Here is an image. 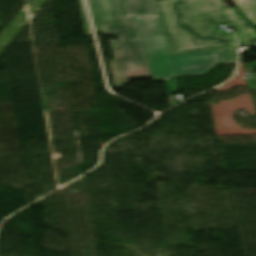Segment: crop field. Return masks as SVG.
I'll return each mask as SVG.
<instances>
[{"label": "crop field", "instance_id": "1", "mask_svg": "<svg viewBox=\"0 0 256 256\" xmlns=\"http://www.w3.org/2000/svg\"><path fill=\"white\" fill-rule=\"evenodd\" d=\"M171 54L238 47L234 35L216 32L214 23L232 21L240 46L251 45L256 28L236 8L158 12Z\"/></svg>", "mask_w": 256, "mask_h": 256}, {"label": "crop field", "instance_id": "2", "mask_svg": "<svg viewBox=\"0 0 256 256\" xmlns=\"http://www.w3.org/2000/svg\"><path fill=\"white\" fill-rule=\"evenodd\" d=\"M154 81L205 74L219 62H237L238 48L170 55L158 15L134 16Z\"/></svg>", "mask_w": 256, "mask_h": 256}, {"label": "crop field", "instance_id": "3", "mask_svg": "<svg viewBox=\"0 0 256 256\" xmlns=\"http://www.w3.org/2000/svg\"><path fill=\"white\" fill-rule=\"evenodd\" d=\"M125 19L127 23L103 26L105 35L120 39L110 43L115 55V59L110 60L115 89H123L130 79L152 78L134 18Z\"/></svg>", "mask_w": 256, "mask_h": 256}, {"label": "crop field", "instance_id": "4", "mask_svg": "<svg viewBox=\"0 0 256 256\" xmlns=\"http://www.w3.org/2000/svg\"><path fill=\"white\" fill-rule=\"evenodd\" d=\"M92 13L95 31H103L102 25L126 22L119 0H87Z\"/></svg>", "mask_w": 256, "mask_h": 256}, {"label": "crop field", "instance_id": "5", "mask_svg": "<svg viewBox=\"0 0 256 256\" xmlns=\"http://www.w3.org/2000/svg\"><path fill=\"white\" fill-rule=\"evenodd\" d=\"M158 11L225 7L223 0H154Z\"/></svg>", "mask_w": 256, "mask_h": 256}, {"label": "crop field", "instance_id": "6", "mask_svg": "<svg viewBox=\"0 0 256 256\" xmlns=\"http://www.w3.org/2000/svg\"><path fill=\"white\" fill-rule=\"evenodd\" d=\"M125 16L158 14L153 0H121Z\"/></svg>", "mask_w": 256, "mask_h": 256}, {"label": "crop field", "instance_id": "7", "mask_svg": "<svg viewBox=\"0 0 256 256\" xmlns=\"http://www.w3.org/2000/svg\"><path fill=\"white\" fill-rule=\"evenodd\" d=\"M240 9L241 13L254 25H256V18L252 10L249 0H233Z\"/></svg>", "mask_w": 256, "mask_h": 256}, {"label": "crop field", "instance_id": "8", "mask_svg": "<svg viewBox=\"0 0 256 256\" xmlns=\"http://www.w3.org/2000/svg\"><path fill=\"white\" fill-rule=\"evenodd\" d=\"M79 3H80V8H81V15H82V21H83V25H84L85 34H86V37H88L91 35L88 18H87L85 7L83 5L82 0H79Z\"/></svg>", "mask_w": 256, "mask_h": 256}, {"label": "crop field", "instance_id": "9", "mask_svg": "<svg viewBox=\"0 0 256 256\" xmlns=\"http://www.w3.org/2000/svg\"><path fill=\"white\" fill-rule=\"evenodd\" d=\"M250 2L252 4L253 10H254L255 15H256V0H250Z\"/></svg>", "mask_w": 256, "mask_h": 256}, {"label": "crop field", "instance_id": "10", "mask_svg": "<svg viewBox=\"0 0 256 256\" xmlns=\"http://www.w3.org/2000/svg\"><path fill=\"white\" fill-rule=\"evenodd\" d=\"M53 1H56V0H53Z\"/></svg>", "mask_w": 256, "mask_h": 256}]
</instances>
